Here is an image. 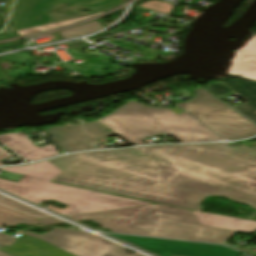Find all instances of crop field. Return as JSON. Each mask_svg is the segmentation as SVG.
I'll return each instance as SVG.
<instances>
[{"instance_id":"7","label":"crop field","mask_w":256,"mask_h":256,"mask_svg":"<svg viewBox=\"0 0 256 256\" xmlns=\"http://www.w3.org/2000/svg\"><path fill=\"white\" fill-rule=\"evenodd\" d=\"M182 109L226 140L256 135V127L215 96L179 103Z\"/></svg>"},{"instance_id":"20","label":"crop field","mask_w":256,"mask_h":256,"mask_svg":"<svg viewBox=\"0 0 256 256\" xmlns=\"http://www.w3.org/2000/svg\"><path fill=\"white\" fill-rule=\"evenodd\" d=\"M84 126L89 142L115 135L111 131H106V128L97 121L84 124Z\"/></svg>"},{"instance_id":"2","label":"crop field","mask_w":256,"mask_h":256,"mask_svg":"<svg viewBox=\"0 0 256 256\" xmlns=\"http://www.w3.org/2000/svg\"><path fill=\"white\" fill-rule=\"evenodd\" d=\"M0 170L24 175L18 183L0 179V189L38 205L49 200L67 204L64 210L52 205L46 207L63 216L151 204L49 182L61 171L46 161Z\"/></svg>"},{"instance_id":"9","label":"crop field","mask_w":256,"mask_h":256,"mask_svg":"<svg viewBox=\"0 0 256 256\" xmlns=\"http://www.w3.org/2000/svg\"><path fill=\"white\" fill-rule=\"evenodd\" d=\"M26 235L48 242L74 256H128L123 252L125 248L115 246L91 233L53 229V231L43 235L29 233ZM67 239L69 241H66Z\"/></svg>"},{"instance_id":"26","label":"crop field","mask_w":256,"mask_h":256,"mask_svg":"<svg viewBox=\"0 0 256 256\" xmlns=\"http://www.w3.org/2000/svg\"><path fill=\"white\" fill-rule=\"evenodd\" d=\"M68 128L70 129L69 131H71L72 133H74L75 135H77L78 137H80L81 139H83L85 141L84 133H83V130H82L80 124L68 126Z\"/></svg>"},{"instance_id":"32","label":"crop field","mask_w":256,"mask_h":256,"mask_svg":"<svg viewBox=\"0 0 256 256\" xmlns=\"http://www.w3.org/2000/svg\"><path fill=\"white\" fill-rule=\"evenodd\" d=\"M0 18H2V19H4V20H6V18H4V17H2V16H0Z\"/></svg>"},{"instance_id":"21","label":"crop field","mask_w":256,"mask_h":256,"mask_svg":"<svg viewBox=\"0 0 256 256\" xmlns=\"http://www.w3.org/2000/svg\"><path fill=\"white\" fill-rule=\"evenodd\" d=\"M101 25L95 21L92 23H88L82 26H78L72 29L60 31L59 33L64 37V38H72V37H77L85 34H89L91 32H94L96 30L101 29Z\"/></svg>"},{"instance_id":"30","label":"crop field","mask_w":256,"mask_h":256,"mask_svg":"<svg viewBox=\"0 0 256 256\" xmlns=\"http://www.w3.org/2000/svg\"><path fill=\"white\" fill-rule=\"evenodd\" d=\"M1 77H7V75L5 74V72L3 71V69L0 67V78Z\"/></svg>"},{"instance_id":"10","label":"crop field","mask_w":256,"mask_h":256,"mask_svg":"<svg viewBox=\"0 0 256 256\" xmlns=\"http://www.w3.org/2000/svg\"><path fill=\"white\" fill-rule=\"evenodd\" d=\"M159 256H240V252L224 246L112 235Z\"/></svg>"},{"instance_id":"19","label":"crop field","mask_w":256,"mask_h":256,"mask_svg":"<svg viewBox=\"0 0 256 256\" xmlns=\"http://www.w3.org/2000/svg\"><path fill=\"white\" fill-rule=\"evenodd\" d=\"M0 206L15 210L17 212L23 213L25 215H28V216H31V217H34L37 219L51 218V216H49L47 214H44L38 210L30 208L26 205L18 203L16 201L6 198L4 196H0Z\"/></svg>"},{"instance_id":"23","label":"crop field","mask_w":256,"mask_h":256,"mask_svg":"<svg viewBox=\"0 0 256 256\" xmlns=\"http://www.w3.org/2000/svg\"><path fill=\"white\" fill-rule=\"evenodd\" d=\"M173 5H169L168 3L160 2V1H149L140 5V7H144L151 10H156L161 13L169 14Z\"/></svg>"},{"instance_id":"3","label":"crop field","mask_w":256,"mask_h":256,"mask_svg":"<svg viewBox=\"0 0 256 256\" xmlns=\"http://www.w3.org/2000/svg\"><path fill=\"white\" fill-rule=\"evenodd\" d=\"M99 122L137 145L145 144L143 139L161 133L172 135L181 143L223 140L185 112L177 115L167 108L147 107L135 101Z\"/></svg>"},{"instance_id":"29","label":"crop field","mask_w":256,"mask_h":256,"mask_svg":"<svg viewBox=\"0 0 256 256\" xmlns=\"http://www.w3.org/2000/svg\"><path fill=\"white\" fill-rule=\"evenodd\" d=\"M12 157L9 153H7L5 150H3L2 148H0V160L1 159H5V158H9Z\"/></svg>"},{"instance_id":"18","label":"crop field","mask_w":256,"mask_h":256,"mask_svg":"<svg viewBox=\"0 0 256 256\" xmlns=\"http://www.w3.org/2000/svg\"><path fill=\"white\" fill-rule=\"evenodd\" d=\"M62 222L63 221L58 220L56 218L38 221L37 219L0 207V224L4 226H14L19 223H28L33 225L40 223L41 224L40 226H45L48 224L62 223Z\"/></svg>"},{"instance_id":"31","label":"crop field","mask_w":256,"mask_h":256,"mask_svg":"<svg viewBox=\"0 0 256 256\" xmlns=\"http://www.w3.org/2000/svg\"><path fill=\"white\" fill-rule=\"evenodd\" d=\"M0 256H11V255H8L6 253L0 252Z\"/></svg>"},{"instance_id":"13","label":"crop field","mask_w":256,"mask_h":256,"mask_svg":"<svg viewBox=\"0 0 256 256\" xmlns=\"http://www.w3.org/2000/svg\"><path fill=\"white\" fill-rule=\"evenodd\" d=\"M0 142L18 153L23 158L31 161L58 155V153L55 152L56 148L54 146H35L23 133L0 135ZM17 147L20 149H17Z\"/></svg>"},{"instance_id":"8","label":"crop field","mask_w":256,"mask_h":256,"mask_svg":"<svg viewBox=\"0 0 256 256\" xmlns=\"http://www.w3.org/2000/svg\"><path fill=\"white\" fill-rule=\"evenodd\" d=\"M122 0H16L11 21L15 30L55 23L72 18L94 15L100 11L119 5ZM62 3L86 7L89 13L81 16H63L49 13Z\"/></svg>"},{"instance_id":"16","label":"crop field","mask_w":256,"mask_h":256,"mask_svg":"<svg viewBox=\"0 0 256 256\" xmlns=\"http://www.w3.org/2000/svg\"><path fill=\"white\" fill-rule=\"evenodd\" d=\"M193 214L199 224L204 226L245 233L256 231V222L197 212H193Z\"/></svg>"},{"instance_id":"34","label":"crop field","mask_w":256,"mask_h":256,"mask_svg":"<svg viewBox=\"0 0 256 256\" xmlns=\"http://www.w3.org/2000/svg\"><path fill=\"white\" fill-rule=\"evenodd\" d=\"M0 165H4V164H2V163L0 162Z\"/></svg>"},{"instance_id":"28","label":"crop field","mask_w":256,"mask_h":256,"mask_svg":"<svg viewBox=\"0 0 256 256\" xmlns=\"http://www.w3.org/2000/svg\"><path fill=\"white\" fill-rule=\"evenodd\" d=\"M197 96L193 99H199V98H203V97H207V96H211L212 94L210 92H208L207 90H205L204 88L201 89H197L194 91Z\"/></svg>"},{"instance_id":"14","label":"crop field","mask_w":256,"mask_h":256,"mask_svg":"<svg viewBox=\"0 0 256 256\" xmlns=\"http://www.w3.org/2000/svg\"><path fill=\"white\" fill-rule=\"evenodd\" d=\"M215 78L249 101L234 108L256 123V83L222 75H217Z\"/></svg>"},{"instance_id":"22","label":"crop field","mask_w":256,"mask_h":256,"mask_svg":"<svg viewBox=\"0 0 256 256\" xmlns=\"http://www.w3.org/2000/svg\"><path fill=\"white\" fill-rule=\"evenodd\" d=\"M86 18H88V17L72 19V20H68V21H64V22H59V23H55V24H50V25H45V26H40V27L29 28V29H25V30H22V31H18V34L19 35H25V34H29V33L39 32V31H43V30L59 27V26H62V25L71 24V23H74L76 21H79V20H82V19H86Z\"/></svg>"},{"instance_id":"12","label":"crop field","mask_w":256,"mask_h":256,"mask_svg":"<svg viewBox=\"0 0 256 256\" xmlns=\"http://www.w3.org/2000/svg\"><path fill=\"white\" fill-rule=\"evenodd\" d=\"M222 73L256 80V34L249 37L233 54Z\"/></svg>"},{"instance_id":"33","label":"crop field","mask_w":256,"mask_h":256,"mask_svg":"<svg viewBox=\"0 0 256 256\" xmlns=\"http://www.w3.org/2000/svg\"><path fill=\"white\" fill-rule=\"evenodd\" d=\"M251 148H254V149H256V147H251Z\"/></svg>"},{"instance_id":"25","label":"crop field","mask_w":256,"mask_h":256,"mask_svg":"<svg viewBox=\"0 0 256 256\" xmlns=\"http://www.w3.org/2000/svg\"><path fill=\"white\" fill-rule=\"evenodd\" d=\"M1 228V226H0ZM17 238L0 233V243L3 245L10 246L14 243Z\"/></svg>"},{"instance_id":"17","label":"crop field","mask_w":256,"mask_h":256,"mask_svg":"<svg viewBox=\"0 0 256 256\" xmlns=\"http://www.w3.org/2000/svg\"><path fill=\"white\" fill-rule=\"evenodd\" d=\"M53 138H49L52 142H57L58 146L66 152H74L81 150L93 149L83 140L69 132L64 127H53L46 130Z\"/></svg>"},{"instance_id":"6","label":"crop field","mask_w":256,"mask_h":256,"mask_svg":"<svg viewBox=\"0 0 256 256\" xmlns=\"http://www.w3.org/2000/svg\"><path fill=\"white\" fill-rule=\"evenodd\" d=\"M121 234L224 244L236 233L200 226L191 211L156 204Z\"/></svg>"},{"instance_id":"27","label":"crop field","mask_w":256,"mask_h":256,"mask_svg":"<svg viewBox=\"0 0 256 256\" xmlns=\"http://www.w3.org/2000/svg\"><path fill=\"white\" fill-rule=\"evenodd\" d=\"M13 1L14 0H0V2H3L5 4H7L6 7L4 8L5 11H2L0 9V15H2L4 17H7L8 13H9V10H10L12 4H13Z\"/></svg>"},{"instance_id":"15","label":"crop field","mask_w":256,"mask_h":256,"mask_svg":"<svg viewBox=\"0 0 256 256\" xmlns=\"http://www.w3.org/2000/svg\"><path fill=\"white\" fill-rule=\"evenodd\" d=\"M6 252L16 256H71L43 241L26 235Z\"/></svg>"},{"instance_id":"11","label":"crop field","mask_w":256,"mask_h":256,"mask_svg":"<svg viewBox=\"0 0 256 256\" xmlns=\"http://www.w3.org/2000/svg\"><path fill=\"white\" fill-rule=\"evenodd\" d=\"M151 206L153 205L68 216V218L75 221L94 220L95 222L101 223V227L108 228L114 233H120Z\"/></svg>"},{"instance_id":"1","label":"crop field","mask_w":256,"mask_h":256,"mask_svg":"<svg viewBox=\"0 0 256 256\" xmlns=\"http://www.w3.org/2000/svg\"><path fill=\"white\" fill-rule=\"evenodd\" d=\"M247 180L134 148L120 195L198 210L207 196L226 197Z\"/></svg>"},{"instance_id":"4","label":"crop field","mask_w":256,"mask_h":256,"mask_svg":"<svg viewBox=\"0 0 256 256\" xmlns=\"http://www.w3.org/2000/svg\"><path fill=\"white\" fill-rule=\"evenodd\" d=\"M229 143L142 147L249 180L227 198L256 209V150Z\"/></svg>"},{"instance_id":"5","label":"crop field","mask_w":256,"mask_h":256,"mask_svg":"<svg viewBox=\"0 0 256 256\" xmlns=\"http://www.w3.org/2000/svg\"><path fill=\"white\" fill-rule=\"evenodd\" d=\"M132 149L91 151L52 159L64 171L55 181L119 194Z\"/></svg>"},{"instance_id":"24","label":"crop field","mask_w":256,"mask_h":256,"mask_svg":"<svg viewBox=\"0 0 256 256\" xmlns=\"http://www.w3.org/2000/svg\"><path fill=\"white\" fill-rule=\"evenodd\" d=\"M207 88H208V90H210L212 93H214L217 96L231 91L230 89H228L226 86H224L220 82L213 84L211 86H208Z\"/></svg>"}]
</instances>
